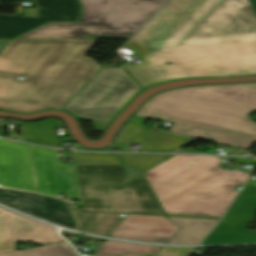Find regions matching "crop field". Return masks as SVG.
I'll return each mask as SVG.
<instances>
[{
	"label": "crop field",
	"mask_w": 256,
	"mask_h": 256,
	"mask_svg": "<svg viewBox=\"0 0 256 256\" xmlns=\"http://www.w3.org/2000/svg\"><path fill=\"white\" fill-rule=\"evenodd\" d=\"M74 154L84 211L71 210L81 231L109 236L120 213L164 216L142 174L120 187L125 172L114 154Z\"/></svg>",
	"instance_id": "crop-field-5"
},
{
	"label": "crop field",
	"mask_w": 256,
	"mask_h": 256,
	"mask_svg": "<svg viewBox=\"0 0 256 256\" xmlns=\"http://www.w3.org/2000/svg\"><path fill=\"white\" fill-rule=\"evenodd\" d=\"M143 87L186 77L256 74V0H169L123 46Z\"/></svg>",
	"instance_id": "crop-field-1"
},
{
	"label": "crop field",
	"mask_w": 256,
	"mask_h": 256,
	"mask_svg": "<svg viewBox=\"0 0 256 256\" xmlns=\"http://www.w3.org/2000/svg\"><path fill=\"white\" fill-rule=\"evenodd\" d=\"M24 141L60 147L58 137L53 129L61 127L63 124L56 118L44 119L31 123L21 122Z\"/></svg>",
	"instance_id": "crop-field-16"
},
{
	"label": "crop field",
	"mask_w": 256,
	"mask_h": 256,
	"mask_svg": "<svg viewBox=\"0 0 256 256\" xmlns=\"http://www.w3.org/2000/svg\"><path fill=\"white\" fill-rule=\"evenodd\" d=\"M141 89L122 67L103 66L60 109L76 119H92L94 130H105Z\"/></svg>",
	"instance_id": "crop-field-7"
},
{
	"label": "crop field",
	"mask_w": 256,
	"mask_h": 256,
	"mask_svg": "<svg viewBox=\"0 0 256 256\" xmlns=\"http://www.w3.org/2000/svg\"><path fill=\"white\" fill-rule=\"evenodd\" d=\"M193 248H170L163 247L158 254L172 255V256H188Z\"/></svg>",
	"instance_id": "crop-field-21"
},
{
	"label": "crop field",
	"mask_w": 256,
	"mask_h": 256,
	"mask_svg": "<svg viewBox=\"0 0 256 256\" xmlns=\"http://www.w3.org/2000/svg\"><path fill=\"white\" fill-rule=\"evenodd\" d=\"M179 229L180 227L165 217L127 215L110 236L134 241L164 243Z\"/></svg>",
	"instance_id": "crop-field-14"
},
{
	"label": "crop field",
	"mask_w": 256,
	"mask_h": 256,
	"mask_svg": "<svg viewBox=\"0 0 256 256\" xmlns=\"http://www.w3.org/2000/svg\"><path fill=\"white\" fill-rule=\"evenodd\" d=\"M156 256H160V255H156Z\"/></svg>",
	"instance_id": "crop-field-28"
},
{
	"label": "crop field",
	"mask_w": 256,
	"mask_h": 256,
	"mask_svg": "<svg viewBox=\"0 0 256 256\" xmlns=\"http://www.w3.org/2000/svg\"><path fill=\"white\" fill-rule=\"evenodd\" d=\"M124 168V170L126 171L125 173V176H124V179H123V182H122V185L128 183L129 181L135 179L136 177L140 176L141 175V172L138 171V170H135V169H132L128 166H125L123 164H121ZM121 185V186H122Z\"/></svg>",
	"instance_id": "crop-field-22"
},
{
	"label": "crop field",
	"mask_w": 256,
	"mask_h": 256,
	"mask_svg": "<svg viewBox=\"0 0 256 256\" xmlns=\"http://www.w3.org/2000/svg\"><path fill=\"white\" fill-rule=\"evenodd\" d=\"M166 0H80L79 23H47L16 39H129Z\"/></svg>",
	"instance_id": "crop-field-6"
},
{
	"label": "crop field",
	"mask_w": 256,
	"mask_h": 256,
	"mask_svg": "<svg viewBox=\"0 0 256 256\" xmlns=\"http://www.w3.org/2000/svg\"><path fill=\"white\" fill-rule=\"evenodd\" d=\"M35 8L25 17L0 15V39H12L48 21H78L77 0H31Z\"/></svg>",
	"instance_id": "crop-field-10"
},
{
	"label": "crop field",
	"mask_w": 256,
	"mask_h": 256,
	"mask_svg": "<svg viewBox=\"0 0 256 256\" xmlns=\"http://www.w3.org/2000/svg\"><path fill=\"white\" fill-rule=\"evenodd\" d=\"M182 229L168 244H198L219 220H201L187 218H170Z\"/></svg>",
	"instance_id": "crop-field-15"
},
{
	"label": "crop field",
	"mask_w": 256,
	"mask_h": 256,
	"mask_svg": "<svg viewBox=\"0 0 256 256\" xmlns=\"http://www.w3.org/2000/svg\"><path fill=\"white\" fill-rule=\"evenodd\" d=\"M9 40H0V48Z\"/></svg>",
	"instance_id": "crop-field-25"
},
{
	"label": "crop field",
	"mask_w": 256,
	"mask_h": 256,
	"mask_svg": "<svg viewBox=\"0 0 256 256\" xmlns=\"http://www.w3.org/2000/svg\"><path fill=\"white\" fill-rule=\"evenodd\" d=\"M0 203L57 225L79 229L66 200L0 188Z\"/></svg>",
	"instance_id": "crop-field-11"
},
{
	"label": "crop field",
	"mask_w": 256,
	"mask_h": 256,
	"mask_svg": "<svg viewBox=\"0 0 256 256\" xmlns=\"http://www.w3.org/2000/svg\"><path fill=\"white\" fill-rule=\"evenodd\" d=\"M37 192L67 199H81L74 165L58 164L55 150L30 146Z\"/></svg>",
	"instance_id": "crop-field-8"
},
{
	"label": "crop field",
	"mask_w": 256,
	"mask_h": 256,
	"mask_svg": "<svg viewBox=\"0 0 256 256\" xmlns=\"http://www.w3.org/2000/svg\"><path fill=\"white\" fill-rule=\"evenodd\" d=\"M254 211H256V186L245 184L224 219L202 244L256 243V232L245 229L253 220Z\"/></svg>",
	"instance_id": "crop-field-9"
},
{
	"label": "crop field",
	"mask_w": 256,
	"mask_h": 256,
	"mask_svg": "<svg viewBox=\"0 0 256 256\" xmlns=\"http://www.w3.org/2000/svg\"><path fill=\"white\" fill-rule=\"evenodd\" d=\"M220 158L175 155L144 173L167 216L221 219L248 173L220 169Z\"/></svg>",
	"instance_id": "crop-field-4"
},
{
	"label": "crop field",
	"mask_w": 256,
	"mask_h": 256,
	"mask_svg": "<svg viewBox=\"0 0 256 256\" xmlns=\"http://www.w3.org/2000/svg\"><path fill=\"white\" fill-rule=\"evenodd\" d=\"M143 256H152V255H143Z\"/></svg>",
	"instance_id": "crop-field-27"
},
{
	"label": "crop field",
	"mask_w": 256,
	"mask_h": 256,
	"mask_svg": "<svg viewBox=\"0 0 256 256\" xmlns=\"http://www.w3.org/2000/svg\"><path fill=\"white\" fill-rule=\"evenodd\" d=\"M159 250L157 246L136 245L129 243L113 242L107 240L96 252L95 255H123L155 253Z\"/></svg>",
	"instance_id": "crop-field-18"
},
{
	"label": "crop field",
	"mask_w": 256,
	"mask_h": 256,
	"mask_svg": "<svg viewBox=\"0 0 256 256\" xmlns=\"http://www.w3.org/2000/svg\"><path fill=\"white\" fill-rule=\"evenodd\" d=\"M256 83L207 85L160 93L135 116L175 124L171 132L249 149L256 142Z\"/></svg>",
	"instance_id": "crop-field-3"
},
{
	"label": "crop field",
	"mask_w": 256,
	"mask_h": 256,
	"mask_svg": "<svg viewBox=\"0 0 256 256\" xmlns=\"http://www.w3.org/2000/svg\"><path fill=\"white\" fill-rule=\"evenodd\" d=\"M66 243L41 247L32 250L0 254V256H77L73 250L68 249Z\"/></svg>",
	"instance_id": "crop-field-20"
},
{
	"label": "crop field",
	"mask_w": 256,
	"mask_h": 256,
	"mask_svg": "<svg viewBox=\"0 0 256 256\" xmlns=\"http://www.w3.org/2000/svg\"><path fill=\"white\" fill-rule=\"evenodd\" d=\"M221 149L230 150L228 155H244L248 152L246 150H242V149H238V148H232V147H226V146H222ZM233 150H236V151L234 152Z\"/></svg>",
	"instance_id": "crop-field-23"
},
{
	"label": "crop field",
	"mask_w": 256,
	"mask_h": 256,
	"mask_svg": "<svg viewBox=\"0 0 256 256\" xmlns=\"http://www.w3.org/2000/svg\"><path fill=\"white\" fill-rule=\"evenodd\" d=\"M61 234L69 235V236H75V237H81L82 238V236L80 234H73V233L66 232V231H61Z\"/></svg>",
	"instance_id": "crop-field-24"
},
{
	"label": "crop field",
	"mask_w": 256,
	"mask_h": 256,
	"mask_svg": "<svg viewBox=\"0 0 256 256\" xmlns=\"http://www.w3.org/2000/svg\"><path fill=\"white\" fill-rule=\"evenodd\" d=\"M95 40H12L0 52V110L58 109L101 67L83 55Z\"/></svg>",
	"instance_id": "crop-field-2"
},
{
	"label": "crop field",
	"mask_w": 256,
	"mask_h": 256,
	"mask_svg": "<svg viewBox=\"0 0 256 256\" xmlns=\"http://www.w3.org/2000/svg\"><path fill=\"white\" fill-rule=\"evenodd\" d=\"M84 238H90V239L105 241L104 239H98V238H93V237H88V236H84Z\"/></svg>",
	"instance_id": "crop-field-26"
},
{
	"label": "crop field",
	"mask_w": 256,
	"mask_h": 256,
	"mask_svg": "<svg viewBox=\"0 0 256 256\" xmlns=\"http://www.w3.org/2000/svg\"><path fill=\"white\" fill-rule=\"evenodd\" d=\"M18 240L36 244L63 241L53 227L0 207V253L15 251Z\"/></svg>",
	"instance_id": "crop-field-12"
},
{
	"label": "crop field",
	"mask_w": 256,
	"mask_h": 256,
	"mask_svg": "<svg viewBox=\"0 0 256 256\" xmlns=\"http://www.w3.org/2000/svg\"><path fill=\"white\" fill-rule=\"evenodd\" d=\"M0 184L36 192L28 145L0 140Z\"/></svg>",
	"instance_id": "crop-field-13"
},
{
	"label": "crop field",
	"mask_w": 256,
	"mask_h": 256,
	"mask_svg": "<svg viewBox=\"0 0 256 256\" xmlns=\"http://www.w3.org/2000/svg\"><path fill=\"white\" fill-rule=\"evenodd\" d=\"M116 156L120 162L144 173L173 155L116 154Z\"/></svg>",
	"instance_id": "crop-field-19"
},
{
	"label": "crop field",
	"mask_w": 256,
	"mask_h": 256,
	"mask_svg": "<svg viewBox=\"0 0 256 256\" xmlns=\"http://www.w3.org/2000/svg\"><path fill=\"white\" fill-rule=\"evenodd\" d=\"M187 142V137L161 132L145 143V151L173 152Z\"/></svg>",
	"instance_id": "crop-field-17"
}]
</instances>
